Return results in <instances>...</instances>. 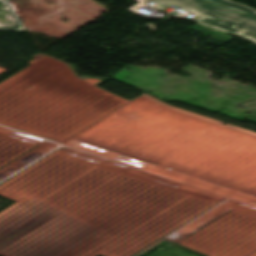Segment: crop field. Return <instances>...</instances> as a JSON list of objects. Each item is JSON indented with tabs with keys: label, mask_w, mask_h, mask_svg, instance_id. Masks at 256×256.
Listing matches in <instances>:
<instances>
[{
	"label": "crop field",
	"mask_w": 256,
	"mask_h": 256,
	"mask_svg": "<svg viewBox=\"0 0 256 256\" xmlns=\"http://www.w3.org/2000/svg\"><path fill=\"white\" fill-rule=\"evenodd\" d=\"M208 1L226 6L228 8L234 9L236 11L245 13V14L250 15V16L256 14V9H253L251 7H248V6H245V5H242V4H239V3L231 1V0H208Z\"/></svg>",
	"instance_id": "3"
},
{
	"label": "crop field",
	"mask_w": 256,
	"mask_h": 256,
	"mask_svg": "<svg viewBox=\"0 0 256 256\" xmlns=\"http://www.w3.org/2000/svg\"><path fill=\"white\" fill-rule=\"evenodd\" d=\"M160 3L159 8L164 9L172 4H177L185 9L201 15L196 21L234 33L243 31L234 28L250 16L237 13L226 8L203 0H152Z\"/></svg>",
	"instance_id": "1"
},
{
	"label": "crop field",
	"mask_w": 256,
	"mask_h": 256,
	"mask_svg": "<svg viewBox=\"0 0 256 256\" xmlns=\"http://www.w3.org/2000/svg\"><path fill=\"white\" fill-rule=\"evenodd\" d=\"M253 17L256 18V15H254ZM255 18L250 17L236 27L238 29L245 31L241 35L249 39H252L254 41H256V19Z\"/></svg>",
	"instance_id": "4"
},
{
	"label": "crop field",
	"mask_w": 256,
	"mask_h": 256,
	"mask_svg": "<svg viewBox=\"0 0 256 256\" xmlns=\"http://www.w3.org/2000/svg\"><path fill=\"white\" fill-rule=\"evenodd\" d=\"M0 28H19V23L5 0H0Z\"/></svg>",
	"instance_id": "2"
}]
</instances>
